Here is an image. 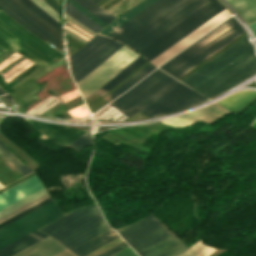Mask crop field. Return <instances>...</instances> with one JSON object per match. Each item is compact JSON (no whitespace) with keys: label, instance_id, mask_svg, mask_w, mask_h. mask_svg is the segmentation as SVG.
Wrapping results in <instances>:
<instances>
[{"label":"crop field","instance_id":"crop-field-1","mask_svg":"<svg viewBox=\"0 0 256 256\" xmlns=\"http://www.w3.org/2000/svg\"><path fill=\"white\" fill-rule=\"evenodd\" d=\"M212 0H158L107 37L137 52Z\"/></svg>","mask_w":256,"mask_h":256},{"label":"crop field","instance_id":"crop-field-2","mask_svg":"<svg viewBox=\"0 0 256 256\" xmlns=\"http://www.w3.org/2000/svg\"><path fill=\"white\" fill-rule=\"evenodd\" d=\"M40 230L57 238L78 256L119 237L105 224L96 205L78 209Z\"/></svg>","mask_w":256,"mask_h":256},{"label":"crop field","instance_id":"crop-field-3","mask_svg":"<svg viewBox=\"0 0 256 256\" xmlns=\"http://www.w3.org/2000/svg\"><path fill=\"white\" fill-rule=\"evenodd\" d=\"M115 230L140 256H173L188 249L152 214Z\"/></svg>","mask_w":256,"mask_h":256},{"label":"crop field","instance_id":"crop-field-4","mask_svg":"<svg viewBox=\"0 0 256 256\" xmlns=\"http://www.w3.org/2000/svg\"><path fill=\"white\" fill-rule=\"evenodd\" d=\"M243 32L245 31L239 23L231 17L169 62L161 65L160 69L178 79Z\"/></svg>","mask_w":256,"mask_h":256},{"label":"crop field","instance_id":"crop-field-5","mask_svg":"<svg viewBox=\"0 0 256 256\" xmlns=\"http://www.w3.org/2000/svg\"><path fill=\"white\" fill-rule=\"evenodd\" d=\"M7 48L14 49L43 68L55 63L53 58L65 57L0 11V54Z\"/></svg>","mask_w":256,"mask_h":256},{"label":"crop field","instance_id":"crop-field-6","mask_svg":"<svg viewBox=\"0 0 256 256\" xmlns=\"http://www.w3.org/2000/svg\"><path fill=\"white\" fill-rule=\"evenodd\" d=\"M177 83V80L156 69L111 103L129 117L151 104Z\"/></svg>","mask_w":256,"mask_h":256},{"label":"crop field","instance_id":"crop-field-7","mask_svg":"<svg viewBox=\"0 0 256 256\" xmlns=\"http://www.w3.org/2000/svg\"><path fill=\"white\" fill-rule=\"evenodd\" d=\"M52 201L51 197L34 205L33 207L17 214L16 216L0 223V227L14 221L15 219L33 211L34 209ZM62 216L61 212L52 202L34 210L33 212L15 220L14 222L0 228V248Z\"/></svg>","mask_w":256,"mask_h":256},{"label":"crop field","instance_id":"crop-field-8","mask_svg":"<svg viewBox=\"0 0 256 256\" xmlns=\"http://www.w3.org/2000/svg\"><path fill=\"white\" fill-rule=\"evenodd\" d=\"M123 45L116 41L94 35L86 44L70 55L72 76L76 81L102 64Z\"/></svg>","mask_w":256,"mask_h":256},{"label":"crop field","instance_id":"crop-field-9","mask_svg":"<svg viewBox=\"0 0 256 256\" xmlns=\"http://www.w3.org/2000/svg\"><path fill=\"white\" fill-rule=\"evenodd\" d=\"M223 9L225 8L217 0H213L138 53L147 60H152Z\"/></svg>","mask_w":256,"mask_h":256},{"label":"crop field","instance_id":"crop-field-10","mask_svg":"<svg viewBox=\"0 0 256 256\" xmlns=\"http://www.w3.org/2000/svg\"><path fill=\"white\" fill-rule=\"evenodd\" d=\"M254 73H256V56L254 49H251L194 90L210 98Z\"/></svg>","mask_w":256,"mask_h":256},{"label":"crop field","instance_id":"crop-field-11","mask_svg":"<svg viewBox=\"0 0 256 256\" xmlns=\"http://www.w3.org/2000/svg\"><path fill=\"white\" fill-rule=\"evenodd\" d=\"M139 55L122 47L107 61L77 83L84 99L107 84Z\"/></svg>","mask_w":256,"mask_h":256},{"label":"crop field","instance_id":"crop-field-12","mask_svg":"<svg viewBox=\"0 0 256 256\" xmlns=\"http://www.w3.org/2000/svg\"><path fill=\"white\" fill-rule=\"evenodd\" d=\"M251 48L246 36L181 82L194 89Z\"/></svg>","mask_w":256,"mask_h":256},{"label":"crop field","instance_id":"crop-field-13","mask_svg":"<svg viewBox=\"0 0 256 256\" xmlns=\"http://www.w3.org/2000/svg\"><path fill=\"white\" fill-rule=\"evenodd\" d=\"M148 108L142 110L149 117L194 105L205 99L203 95L179 83Z\"/></svg>","mask_w":256,"mask_h":256},{"label":"crop field","instance_id":"crop-field-14","mask_svg":"<svg viewBox=\"0 0 256 256\" xmlns=\"http://www.w3.org/2000/svg\"><path fill=\"white\" fill-rule=\"evenodd\" d=\"M0 8L7 12L11 17H13L17 22L23 25L34 35H36L44 41L47 40L52 45L62 50L60 37L53 33L51 30H49L48 28H46L36 19L31 17L25 11H23L12 0H0Z\"/></svg>","mask_w":256,"mask_h":256},{"label":"crop field","instance_id":"crop-field-15","mask_svg":"<svg viewBox=\"0 0 256 256\" xmlns=\"http://www.w3.org/2000/svg\"><path fill=\"white\" fill-rule=\"evenodd\" d=\"M24 119V118H23ZM49 138L67 146L86 131L85 129L25 119Z\"/></svg>","mask_w":256,"mask_h":256},{"label":"crop field","instance_id":"crop-field-16","mask_svg":"<svg viewBox=\"0 0 256 256\" xmlns=\"http://www.w3.org/2000/svg\"><path fill=\"white\" fill-rule=\"evenodd\" d=\"M227 112L229 111L224 109L220 105L214 103L210 106L191 111L190 113L185 114L183 116L164 120L161 122L166 123L173 127H181V126L190 125L200 119L206 122H212Z\"/></svg>","mask_w":256,"mask_h":256},{"label":"crop field","instance_id":"crop-field-17","mask_svg":"<svg viewBox=\"0 0 256 256\" xmlns=\"http://www.w3.org/2000/svg\"><path fill=\"white\" fill-rule=\"evenodd\" d=\"M43 188L36 175L0 193V210Z\"/></svg>","mask_w":256,"mask_h":256},{"label":"crop field","instance_id":"crop-field-18","mask_svg":"<svg viewBox=\"0 0 256 256\" xmlns=\"http://www.w3.org/2000/svg\"><path fill=\"white\" fill-rule=\"evenodd\" d=\"M65 249L67 248L49 236L13 256H53Z\"/></svg>","mask_w":256,"mask_h":256},{"label":"crop field","instance_id":"crop-field-19","mask_svg":"<svg viewBox=\"0 0 256 256\" xmlns=\"http://www.w3.org/2000/svg\"><path fill=\"white\" fill-rule=\"evenodd\" d=\"M255 100L256 92L240 91L220 100L217 103L221 104L222 106L228 108L229 110L239 115Z\"/></svg>","mask_w":256,"mask_h":256},{"label":"crop field","instance_id":"crop-field-20","mask_svg":"<svg viewBox=\"0 0 256 256\" xmlns=\"http://www.w3.org/2000/svg\"><path fill=\"white\" fill-rule=\"evenodd\" d=\"M48 235L36 230L23 238L9 244L8 246L0 249V256H11L16 252L32 245L33 243L47 237Z\"/></svg>","mask_w":256,"mask_h":256},{"label":"crop field","instance_id":"crop-field-21","mask_svg":"<svg viewBox=\"0 0 256 256\" xmlns=\"http://www.w3.org/2000/svg\"><path fill=\"white\" fill-rule=\"evenodd\" d=\"M45 193H47V192H46L45 189L43 188V189H41V190H39V191H37V192H35V193L29 195L28 197H26V198H24V199H22V200H20V201H18V202H16V203H14L13 205H11V206H9V207H7V208L1 210V211H0V217L3 216V215H5V214H7V213H9V212H11V211H13L14 209H16V208H18V207H20V206H22V205H24V204L30 202L31 200H33V199H35V198H37V197H39V196H41V195H43V194H45ZM47 196H49V195H48V194H45V195H43V196H41V197H39V198H37V199L31 201L30 203H28V204H26V205H24V206H22V207H20V208H18V209H16V210H14L13 212H11V213H9V214H7V215L1 217V218H0V221L3 220V219H5V218H7V217H9V216L12 215V214L18 212V211H20V210H22V209H24V208L30 206L31 204H33V203H35V202H37V201H39V200H41V199L47 197ZM49 197H50V196H49ZM47 198H48V197H47ZM45 199H46V198H45ZM43 200H44V199H43ZM41 201H42V200H41ZM39 202H40V201H39ZM37 203H38V202H37ZM35 204H36V203H35ZM33 205H34V204H33ZM33 205H31V206H33ZM31 206H30V207H31ZM28 208H29V207H28ZM26 209H27V208H26ZM24 210H25V209H24ZM22 211H23V210H22ZM20 212H21V211H20ZM18 213H19V212H18ZM16 214H17V213H16ZM16 214H14V215H16ZM14 215H12V216H14ZM12 216H10V217H12ZM10 217H9V218H10ZM7 219H8V218H7ZM5 220H6V219H5ZM3 221H4V220H3ZM1 222H2V221H1Z\"/></svg>","mask_w":256,"mask_h":256},{"label":"crop field","instance_id":"crop-field-22","mask_svg":"<svg viewBox=\"0 0 256 256\" xmlns=\"http://www.w3.org/2000/svg\"><path fill=\"white\" fill-rule=\"evenodd\" d=\"M247 24L256 22V0H227Z\"/></svg>","mask_w":256,"mask_h":256},{"label":"crop field","instance_id":"crop-field-23","mask_svg":"<svg viewBox=\"0 0 256 256\" xmlns=\"http://www.w3.org/2000/svg\"><path fill=\"white\" fill-rule=\"evenodd\" d=\"M155 1L156 0H143L138 5L132 7L124 15L122 14L123 16H121L120 18L115 20L113 23H111L109 26H107L105 29H103L99 33H101V34H103L105 36L108 35L110 32H112L113 30L118 28L120 25H122L123 23L128 21L130 18H132L133 16L138 14L140 11H142L143 9H145L146 7H148L150 4H152Z\"/></svg>","mask_w":256,"mask_h":256},{"label":"crop field","instance_id":"crop-field-24","mask_svg":"<svg viewBox=\"0 0 256 256\" xmlns=\"http://www.w3.org/2000/svg\"><path fill=\"white\" fill-rule=\"evenodd\" d=\"M145 61L146 60L144 58L139 56L126 69H124L118 76H116L112 81H110L107 85H105L103 88L98 90L96 93L101 96L104 95L106 92H108L109 90L114 88L116 85H118L121 81H123L125 78H127L131 73H133ZM93 95H91L90 97H92ZM90 97H88V98H90Z\"/></svg>","mask_w":256,"mask_h":256},{"label":"crop field","instance_id":"crop-field-25","mask_svg":"<svg viewBox=\"0 0 256 256\" xmlns=\"http://www.w3.org/2000/svg\"><path fill=\"white\" fill-rule=\"evenodd\" d=\"M155 69V66L152 64L146 65L143 69H141L137 74H135L132 78H130L127 82H125L122 86H120L118 89H116L114 92H112L110 95H108L106 98L107 101H112L114 98L119 96L121 93H123L125 90L136 84L138 81H140L142 78H144L146 75H148L151 71Z\"/></svg>","mask_w":256,"mask_h":256},{"label":"crop field","instance_id":"crop-field-26","mask_svg":"<svg viewBox=\"0 0 256 256\" xmlns=\"http://www.w3.org/2000/svg\"><path fill=\"white\" fill-rule=\"evenodd\" d=\"M0 154L22 175L32 172L3 142L0 141Z\"/></svg>","mask_w":256,"mask_h":256},{"label":"crop field","instance_id":"crop-field-27","mask_svg":"<svg viewBox=\"0 0 256 256\" xmlns=\"http://www.w3.org/2000/svg\"><path fill=\"white\" fill-rule=\"evenodd\" d=\"M65 13H67L68 15H70L71 17H73L74 19H76L77 21H79L96 33L103 28L97 23L89 20L90 18L88 19L86 16H84L81 12L69 5L67 2H65Z\"/></svg>","mask_w":256,"mask_h":256},{"label":"crop field","instance_id":"crop-field-28","mask_svg":"<svg viewBox=\"0 0 256 256\" xmlns=\"http://www.w3.org/2000/svg\"><path fill=\"white\" fill-rule=\"evenodd\" d=\"M74 1H76L82 7H84L85 9H87L88 11L96 15L98 18H100L107 24L115 19L105 10L99 8L96 4L92 3L90 0H74Z\"/></svg>","mask_w":256,"mask_h":256},{"label":"crop field","instance_id":"crop-field-29","mask_svg":"<svg viewBox=\"0 0 256 256\" xmlns=\"http://www.w3.org/2000/svg\"><path fill=\"white\" fill-rule=\"evenodd\" d=\"M216 248L208 247L202 244L199 240L192 247H190L184 253L177 256H208L211 254Z\"/></svg>","mask_w":256,"mask_h":256},{"label":"crop field","instance_id":"crop-field-30","mask_svg":"<svg viewBox=\"0 0 256 256\" xmlns=\"http://www.w3.org/2000/svg\"><path fill=\"white\" fill-rule=\"evenodd\" d=\"M24 2L32 11L42 17L44 20L48 21L52 26L60 30V24L54 20L49 14L43 11L40 7H38L35 3L31 0H21Z\"/></svg>","mask_w":256,"mask_h":256},{"label":"crop field","instance_id":"crop-field-31","mask_svg":"<svg viewBox=\"0 0 256 256\" xmlns=\"http://www.w3.org/2000/svg\"><path fill=\"white\" fill-rule=\"evenodd\" d=\"M91 142H92L91 135L88 131L84 135H82L80 138L75 140L73 143H71L70 145L68 144L69 145L68 147L76 151H80L86 146H88L89 144H91Z\"/></svg>","mask_w":256,"mask_h":256},{"label":"crop field","instance_id":"crop-field-32","mask_svg":"<svg viewBox=\"0 0 256 256\" xmlns=\"http://www.w3.org/2000/svg\"><path fill=\"white\" fill-rule=\"evenodd\" d=\"M23 10H25L26 12H28L30 15H32L33 17H35L37 20H39L41 23H43L45 26H47L49 29H51L52 31H54L55 33H57L59 36H61L60 31H58L57 29H55L54 27H52L50 24H48L46 21H44L43 19H41L39 16H37L35 13H33L24 3H22L20 0H14Z\"/></svg>","mask_w":256,"mask_h":256},{"label":"crop field","instance_id":"crop-field-33","mask_svg":"<svg viewBox=\"0 0 256 256\" xmlns=\"http://www.w3.org/2000/svg\"><path fill=\"white\" fill-rule=\"evenodd\" d=\"M121 242H123V241H122L121 238L119 237V238H117V239H115V240H113V241L107 243L106 245H104V246H102V247H100V248L94 250L93 252H91V253H89V254H87V255H85V256H96V255H98V254L104 252L105 250H107V249H109V248H111V247H113V246H115V245H117V244H119V243H121Z\"/></svg>","mask_w":256,"mask_h":256},{"label":"crop field","instance_id":"crop-field-34","mask_svg":"<svg viewBox=\"0 0 256 256\" xmlns=\"http://www.w3.org/2000/svg\"><path fill=\"white\" fill-rule=\"evenodd\" d=\"M67 1L69 4H71L72 6H74L75 8H77L79 11L83 12L84 14H86L87 16H89L91 19H93L95 22H97L98 24H100L101 26H106L107 24H105L103 21H101L100 19H98L96 16H94L93 14H91L90 12H88L87 10H85L84 8H82L80 5H78L77 3H75L73 0H65Z\"/></svg>","mask_w":256,"mask_h":256},{"label":"crop field","instance_id":"crop-field-35","mask_svg":"<svg viewBox=\"0 0 256 256\" xmlns=\"http://www.w3.org/2000/svg\"><path fill=\"white\" fill-rule=\"evenodd\" d=\"M46 12H48L51 16H53L59 22V15L55 13L50 7H48L44 2L41 0H32Z\"/></svg>","mask_w":256,"mask_h":256},{"label":"crop field","instance_id":"crop-field-36","mask_svg":"<svg viewBox=\"0 0 256 256\" xmlns=\"http://www.w3.org/2000/svg\"><path fill=\"white\" fill-rule=\"evenodd\" d=\"M126 246H128V245L123 242V243H121V244H119V245H117V246H115V247L105 251L104 253H102V254H100L98 256H110L111 254L119 251L120 249H122V248H124Z\"/></svg>","mask_w":256,"mask_h":256},{"label":"crop field","instance_id":"crop-field-37","mask_svg":"<svg viewBox=\"0 0 256 256\" xmlns=\"http://www.w3.org/2000/svg\"><path fill=\"white\" fill-rule=\"evenodd\" d=\"M42 1H44L48 6H50L58 14L60 13V7L54 4L51 0H42Z\"/></svg>","mask_w":256,"mask_h":256},{"label":"crop field","instance_id":"crop-field-38","mask_svg":"<svg viewBox=\"0 0 256 256\" xmlns=\"http://www.w3.org/2000/svg\"><path fill=\"white\" fill-rule=\"evenodd\" d=\"M65 30L67 31V33L71 34L72 36L76 37L77 39H79L82 42H87V40H85L84 38L78 36L77 34L73 33L72 31H70L69 29L65 28Z\"/></svg>","mask_w":256,"mask_h":256},{"label":"crop field","instance_id":"crop-field-39","mask_svg":"<svg viewBox=\"0 0 256 256\" xmlns=\"http://www.w3.org/2000/svg\"><path fill=\"white\" fill-rule=\"evenodd\" d=\"M55 256H76L75 254H73L71 251H69L68 249L55 255Z\"/></svg>","mask_w":256,"mask_h":256},{"label":"crop field","instance_id":"crop-field-40","mask_svg":"<svg viewBox=\"0 0 256 256\" xmlns=\"http://www.w3.org/2000/svg\"><path fill=\"white\" fill-rule=\"evenodd\" d=\"M64 16L68 17L67 15H64ZM66 17H64V19L68 20V21L71 22L72 24H74V25H76L77 27H79L80 29L84 30V29H83L84 27L81 26L79 23H77V22L75 21L77 24H79V25H80L81 27H83V28H81V27L78 26L76 23H74V22H73V21H74L73 19H72L73 21L70 20V19H71L70 17H68V18H70V19H68V18H66ZM85 29H86V28H85ZM86 30H87V29H86ZM86 30H84V31L93 36V34H91V33L88 32L89 30H88V31H86Z\"/></svg>","mask_w":256,"mask_h":256},{"label":"crop field","instance_id":"crop-field-41","mask_svg":"<svg viewBox=\"0 0 256 256\" xmlns=\"http://www.w3.org/2000/svg\"><path fill=\"white\" fill-rule=\"evenodd\" d=\"M2 97L5 99V101L7 102V104L14 102V101L12 100V98L9 96V94L3 95Z\"/></svg>","mask_w":256,"mask_h":256},{"label":"crop field","instance_id":"crop-field-42","mask_svg":"<svg viewBox=\"0 0 256 256\" xmlns=\"http://www.w3.org/2000/svg\"><path fill=\"white\" fill-rule=\"evenodd\" d=\"M252 24V23H251ZM250 25V24H249ZM250 28L252 29L253 33L255 34L256 36V23L250 25Z\"/></svg>","mask_w":256,"mask_h":256},{"label":"crop field","instance_id":"crop-field-43","mask_svg":"<svg viewBox=\"0 0 256 256\" xmlns=\"http://www.w3.org/2000/svg\"><path fill=\"white\" fill-rule=\"evenodd\" d=\"M5 93H7V92L0 86V94L3 95Z\"/></svg>","mask_w":256,"mask_h":256},{"label":"crop field","instance_id":"crop-field-44","mask_svg":"<svg viewBox=\"0 0 256 256\" xmlns=\"http://www.w3.org/2000/svg\"><path fill=\"white\" fill-rule=\"evenodd\" d=\"M252 127L256 128V121L254 122V124L252 125Z\"/></svg>","mask_w":256,"mask_h":256},{"label":"crop field","instance_id":"crop-field-45","mask_svg":"<svg viewBox=\"0 0 256 256\" xmlns=\"http://www.w3.org/2000/svg\"><path fill=\"white\" fill-rule=\"evenodd\" d=\"M91 1H93V2H95V3H96V2H98L99 0H91Z\"/></svg>","mask_w":256,"mask_h":256},{"label":"crop field","instance_id":"crop-field-46","mask_svg":"<svg viewBox=\"0 0 256 256\" xmlns=\"http://www.w3.org/2000/svg\"><path fill=\"white\" fill-rule=\"evenodd\" d=\"M4 187L1 183H0V188Z\"/></svg>","mask_w":256,"mask_h":256},{"label":"crop field","instance_id":"crop-field-47","mask_svg":"<svg viewBox=\"0 0 256 256\" xmlns=\"http://www.w3.org/2000/svg\"><path fill=\"white\" fill-rule=\"evenodd\" d=\"M59 2V0H57Z\"/></svg>","mask_w":256,"mask_h":256}]
</instances>
